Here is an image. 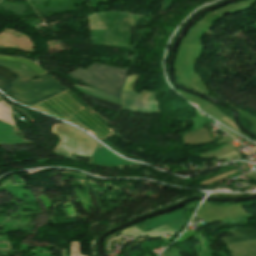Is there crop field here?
Masks as SVG:
<instances>
[{"instance_id":"8a807250","label":"crop field","mask_w":256,"mask_h":256,"mask_svg":"<svg viewBox=\"0 0 256 256\" xmlns=\"http://www.w3.org/2000/svg\"><path fill=\"white\" fill-rule=\"evenodd\" d=\"M126 72L125 70L94 63L86 70L79 68L68 75L120 99L119 93Z\"/></svg>"},{"instance_id":"ac0d7876","label":"crop field","mask_w":256,"mask_h":256,"mask_svg":"<svg viewBox=\"0 0 256 256\" xmlns=\"http://www.w3.org/2000/svg\"><path fill=\"white\" fill-rule=\"evenodd\" d=\"M65 90L64 86L56 82L48 74H45L32 82L11 88L4 93L11 99L30 106Z\"/></svg>"},{"instance_id":"34b2d1b8","label":"crop field","mask_w":256,"mask_h":256,"mask_svg":"<svg viewBox=\"0 0 256 256\" xmlns=\"http://www.w3.org/2000/svg\"><path fill=\"white\" fill-rule=\"evenodd\" d=\"M52 133L61 138L53 151L69 158H71V154L91 157L98 143L89 135L68 124H54Z\"/></svg>"},{"instance_id":"412701ff","label":"crop field","mask_w":256,"mask_h":256,"mask_svg":"<svg viewBox=\"0 0 256 256\" xmlns=\"http://www.w3.org/2000/svg\"><path fill=\"white\" fill-rule=\"evenodd\" d=\"M231 256H256V241L227 245Z\"/></svg>"},{"instance_id":"f4fd0767","label":"crop field","mask_w":256,"mask_h":256,"mask_svg":"<svg viewBox=\"0 0 256 256\" xmlns=\"http://www.w3.org/2000/svg\"><path fill=\"white\" fill-rule=\"evenodd\" d=\"M230 231L233 232L234 237L222 238L221 240L223 242L233 243V242H240V241L256 239V230H254L253 228L235 229V230H230Z\"/></svg>"},{"instance_id":"dd49c442","label":"crop field","mask_w":256,"mask_h":256,"mask_svg":"<svg viewBox=\"0 0 256 256\" xmlns=\"http://www.w3.org/2000/svg\"><path fill=\"white\" fill-rule=\"evenodd\" d=\"M18 76L11 71L0 66V90L3 92L11 88L13 82Z\"/></svg>"},{"instance_id":"e52e79f7","label":"crop field","mask_w":256,"mask_h":256,"mask_svg":"<svg viewBox=\"0 0 256 256\" xmlns=\"http://www.w3.org/2000/svg\"><path fill=\"white\" fill-rule=\"evenodd\" d=\"M0 120L14 126L10 106L4 100L0 102Z\"/></svg>"},{"instance_id":"d8731c3e","label":"crop field","mask_w":256,"mask_h":256,"mask_svg":"<svg viewBox=\"0 0 256 256\" xmlns=\"http://www.w3.org/2000/svg\"><path fill=\"white\" fill-rule=\"evenodd\" d=\"M0 59L14 60V61H20L22 63H26V64L30 65L40 75L44 74V71L39 66H37L36 64H34L28 60L19 59V58H11V57H7V56H0Z\"/></svg>"},{"instance_id":"5a996713","label":"crop field","mask_w":256,"mask_h":256,"mask_svg":"<svg viewBox=\"0 0 256 256\" xmlns=\"http://www.w3.org/2000/svg\"><path fill=\"white\" fill-rule=\"evenodd\" d=\"M139 77V75H132V76H129L127 78V83L124 87L123 90H130V91H133L134 90V86H135V82L137 80V78Z\"/></svg>"},{"instance_id":"3316defc","label":"crop field","mask_w":256,"mask_h":256,"mask_svg":"<svg viewBox=\"0 0 256 256\" xmlns=\"http://www.w3.org/2000/svg\"><path fill=\"white\" fill-rule=\"evenodd\" d=\"M14 108H15L17 111H19L21 114H23L26 118H28L29 120H31V117H30L23 109H21V108H19V107H16V106H14Z\"/></svg>"}]
</instances>
